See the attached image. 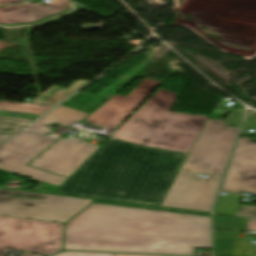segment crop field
<instances>
[{
	"label": "crop field",
	"mask_w": 256,
	"mask_h": 256,
	"mask_svg": "<svg viewBox=\"0 0 256 256\" xmlns=\"http://www.w3.org/2000/svg\"><path fill=\"white\" fill-rule=\"evenodd\" d=\"M239 138L224 184L256 189V143Z\"/></svg>",
	"instance_id": "11"
},
{
	"label": "crop field",
	"mask_w": 256,
	"mask_h": 256,
	"mask_svg": "<svg viewBox=\"0 0 256 256\" xmlns=\"http://www.w3.org/2000/svg\"><path fill=\"white\" fill-rule=\"evenodd\" d=\"M98 145L79 140H59L31 166L70 177V175L98 148ZM55 153L53 156L51 153Z\"/></svg>",
	"instance_id": "8"
},
{
	"label": "crop field",
	"mask_w": 256,
	"mask_h": 256,
	"mask_svg": "<svg viewBox=\"0 0 256 256\" xmlns=\"http://www.w3.org/2000/svg\"><path fill=\"white\" fill-rule=\"evenodd\" d=\"M155 158H156V156H154V155H147V154L141 153L136 165L143 166L146 159L154 161Z\"/></svg>",
	"instance_id": "23"
},
{
	"label": "crop field",
	"mask_w": 256,
	"mask_h": 256,
	"mask_svg": "<svg viewBox=\"0 0 256 256\" xmlns=\"http://www.w3.org/2000/svg\"><path fill=\"white\" fill-rule=\"evenodd\" d=\"M224 121L209 119L181 170L223 176L238 128L223 126Z\"/></svg>",
	"instance_id": "4"
},
{
	"label": "crop field",
	"mask_w": 256,
	"mask_h": 256,
	"mask_svg": "<svg viewBox=\"0 0 256 256\" xmlns=\"http://www.w3.org/2000/svg\"><path fill=\"white\" fill-rule=\"evenodd\" d=\"M176 95L159 88L112 137L189 152L207 117L168 112Z\"/></svg>",
	"instance_id": "3"
},
{
	"label": "crop field",
	"mask_w": 256,
	"mask_h": 256,
	"mask_svg": "<svg viewBox=\"0 0 256 256\" xmlns=\"http://www.w3.org/2000/svg\"><path fill=\"white\" fill-rule=\"evenodd\" d=\"M63 224L0 216V247L51 255L61 250Z\"/></svg>",
	"instance_id": "5"
},
{
	"label": "crop field",
	"mask_w": 256,
	"mask_h": 256,
	"mask_svg": "<svg viewBox=\"0 0 256 256\" xmlns=\"http://www.w3.org/2000/svg\"><path fill=\"white\" fill-rule=\"evenodd\" d=\"M68 256H114V255H104V254H83V253H69L65 252Z\"/></svg>",
	"instance_id": "25"
},
{
	"label": "crop field",
	"mask_w": 256,
	"mask_h": 256,
	"mask_svg": "<svg viewBox=\"0 0 256 256\" xmlns=\"http://www.w3.org/2000/svg\"><path fill=\"white\" fill-rule=\"evenodd\" d=\"M210 217L92 203L66 223L63 250L194 256Z\"/></svg>",
	"instance_id": "1"
},
{
	"label": "crop field",
	"mask_w": 256,
	"mask_h": 256,
	"mask_svg": "<svg viewBox=\"0 0 256 256\" xmlns=\"http://www.w3.org/2000/svg\"><path fill=\"white\" fill-rule=\"evenodd\" d=\"M50 5H54V4H62V3H72L68 0H52L48 2Z\"/></svg>",
	"instance_id": "26"
},
{
	"label": "crop field",
	"mask_w": 256,
	"mask_h": 256,
	"mask_svg": "<svg viewBox=\"0 0 256 256\" xmlns=\"http://www.w3.org/2000/svg\"><path fill=\"white\" fill-rule=\"evenodd\" d=\"M45 208L79 212V211L82 210L84 207H82V206H74V205H66V204H58V203H50V202H47Z\"/></svg>",
	"instance_id": "22"
},
{
	"label": "crop field",
	"mask_w": 256,
	"mask_h": 256,
	"mask_svg": "<svg viewBox=\"0 0 256 256\" xmlns=\"http://www.w3.org/2000/svg\"><path fill=\"white\" fill-rule=\"evenodd\" d=\"M220 179L178 172L162 206L210 212Z\"/></svg>",
	"instance_id": "7"
},
{
	"label": "crop field",
	"mask_w": 256,
	"mask_h": 256,
	"mask_svg": "<svg viewBox=\"0 0 256 256\" xmlns=\"http://www.w3.org/2000/svg\"><path fill=\"white\" fill-rule=\"evenodd\" d=\"M137 152L158 156L144 167L132 166ZM183 157L109 138L57 193L159 206Z\"/></svg>",
	"instance_id": "2"
},
{
	"label": "crop field",
	"mask_w": 256,
	"mask_h": 256,
	"mask_svg": "<svg viewBox=\"0 0 256 256\" xmlns=\"http://www.w3.org/2000/svg\"><path fill=\"white\" fill-rule=\"evenodd\" d=\"M159 84L144 78L127 97L115 95L85 120L115 129Z\"/></svg>",
	"instance_id": "9"
},
{
	"label": "crop field",
	"mask_w": 256,
	"mask_h": 256,
	"mask_svg": "<svg viewBox=\"0 0 256 256\" xmlns=\"http://www.w3.org/2000/svg\"><path fill=\"white\" fill-rule=\"evenodd\" d=\"M242 229L256 230V220L214 218V230L238 231Z\"/></svg>",
	"instance_id": "16"
},
{
	"label": "crop field",
	"mask_w": 256,
	"mask_h": 256,
	"mask_svg": "<svg viewBox=\"0 0 256 256\" xmlns=\"http://www.w3.org/2000/svg\"><path fill=\"white\" fill-rule=\"evenodd\" d=\"M31 120L0 116V134H13Z\"/></svg>",
	"instance_id": "19"
},
{
	"label": "crop field",
	"mask_w": 256,
	"mask_h": 256,
	"mask_svg": "<svg viewBox=\"0 0 256 256\" xmlns=\"http://www.w3.org/2000/svg\"><path fill=\"white\" fill-rule=\"evenodd\" d=\"M9 136H3V135H0V142L3 141L4 139L8 138Z\"/></svg>",
	"instance_id": "30"
},
{
	"label": "crop field",
	"mask_w": 256,
	"mask_h": 256,
	"mask_svg": "<svg viewBox=\"0 0 256 256\" xmlns=\"http://www.w3.org/2000/svg\"><path fill=\"white\" fill-rule=\"evenodd\" d=\"M115 256H128V255H115Z\"/></svg>",
	"instance_id": "32"
},
{
	"label": "crop field",
	"mask_w": 256,
	"mask_h": 256,
	"mask_svg": "<svg viewBox=\"0 0 256 256\" xmlns=\"http://www.w3.org/2000/svg\"><path fill=\"white\" fill-rule=\"evenodd\" d=\"M46 202L0 197V215L65 223L74 212L44 209Z\"/></svg>",
	"instance_id": "12"
},
{
	"label": "crop field",
	"mask_w": 256,
	"mask_h": 256,
	"mask_svg": "<svg viewBox=\"0 0 256 256\" xmlns=\"http://www.w3.org/2000/svg\"><path fill=\"white\" fill-rule=\"evenodd\" d=\"M56 139L23 131L0 147V169L59 186L66 178L26 166Z\"/></svg>",
	"instance_id": "6"
},
{
	"label": "crop field",
	"mask_w": 256,
	"mask_h": 256,
	"mask_svg": "<svg viewBox=\"0 0 256 256\" xmlns=\"http://www.w3.org/2000/svg\"><path fill=\"white\" fill-rule=\"evenodd\" d=\"M139 155H140V153H137V155H136L135 159H134V160H133V162H132V164H133V165H135V163H136V161H137V159H138Z\"/></svg>",
	"instance_id": "28"
},
{
	"label": "crop field",
	"mask_w": 256,
	"mask_h": 256,
	"mask_svg": "<svg viewBox=\"0 0 256 256\" xmlns=\"http://www.w3.org/2000/svg\"><path fill=\"white\" fill-rule=\"evenodd\" d=\"M50 106L34 105V104H22L14 102L0 101V110L22 112L29 114L41 115L48 111Z\"/></svg>",
	"instance_id": "17"
},
{
	"label": "crop field",
	"mask_w": 256,
	"mask_h": 256,
	"mask_svg": "<svg viewBox=\"0 0 256 256\" xmlns=\"http://www.w3.org/2000/svg\"><path fill=\"white\" fill-rule=\"evenodd\" d=\"M88 82V80L78 79L67 88L53 85L46 91L41 93L39 96H37L35 99H33L31 102L46 105H55Z\"/></svg>",
	"instance_id": "15"
},
{
	"label": "crop field",
	"mask_w": 256,
	"mask_h": 256,
	"mask_svg": "<svg viewBox=\"0 0 256 256\" xmlns=\"http://www.w3.org/2000/svg\"><path fill=\"white\" fill-rule=\"evenodd\" d=\"M215 256H256V247L235 233L214 232Z\"/></svg>",
	"instance_id": "13"
},
{
	"label": "crop field",
	"mask_w": 256,
	"mask_h": 256,
	"mask_svg": "<svg viewBox=\"0 0 256 256\" xmlns=\"http://www.w3.org/2000/svg\"><path fill=\"white\" fill-rule=\"evenodd\" d=\"M53 111V110H52ZM88 113L80 112L77 110H73L66 107H58L53 112L30 126L28 129L43 133V134H49L52 131L49 130L46 125L48 123H60L64 126H68L72 124L73 122L80 121L83 119Z\"/></svg>",
	"instance_id": "14"
},
{
	"label": "crop field",
	"mask_w": 256,
	"mask_h": 256,
	"mask_svg": "<svg viewBox=\"0 0 256 256\" xmlns=\"http://www.w3.org/2000/svg\"><path fill=\"white\" fill-rule=\"evenodd\" d=\"M0 196H8V197H17V198H25V199H34V200L46 201L48 195L18 192V191H9V190H0Z\"/></svg>",
	"instance_id": "20"
},
{
	"label": "crop field",
	"mask_w": 256,
	"mask_h": 256,
	"mask_svg": "<svg viewBox=\"0 0 256 256\" xmlns=\"http://www.w3.org/2000/svg\"><path fill=\"white\" fill-rule=\"evenodd\" d=\"M19 0H0V6ZM83 9L76 4L38 6L27 8L23 4L0 9V28L33 27Z\"/></svg>",
	"instance_id": "10"
},
{
	"label": "crop field",
	"mask_w": 256,
	"mask_h": 256,
	"mask_svg": "<svg viewBox=\"0 0 256 256\" xmlns=\"http://www.w3.org/2000/svg\"><path fill=\"white\" fill-rule=\"evenodd\" d=\"M51 202H59V203H67V204H75V205H83L87 206L89 205L92 201L89 200H82V199H74V198H67V197H60V196H48V200Z\"/></svg>",
	"instance_id": "21"
},
{
	"label": "crop field",
	"mask_w": 256,
	"mask_h": 256,
	"mask_svg": "<svg viewBox=\"0 0 256 256\" xmlns=\"http://www.w3.org/2000/svg\"><path fill=\"white\" fill-rule=\"evenodd\" d=\"M240 195H220L213 213L235 215Z\"/></svg>",
	"instance_id": "18"
},
{
	"label": "crop field",
	"mask_w": 256,
	"mask_h": 256,
	"mask_svg": "<svg viewBox=\"0 0 256 256\" xmlns=\"http://www.w3.org/2000/svg\"><path fill=\"white\" fill-rule=\"evenodd\" d=\"M221 190H223V191H229V192H240V191H242V190H245V191H249V192L256 193V190L241 189V188L226 187V186H223Z\"/></svg>",
	"instance_id": "24"
},
{
	"label": "crop field",
	"mask_w": 256,
	"mask_h": 256,
	"mask_svg": "<svg viewBox=\"0 0 256 256\" xmlns=\"http://www.w3.org/2000/svg\"><path fill=\"white\" fill-rule=\"evenodd\" d=\"M24 5H26L27 7H31V6H38V5H41V4H29V3H25Z\"/></svg>",
	"instance_id": "29"
},
{
	"label": "crop field",
	"mask_w": 256,
	"mask_h": 256,
	"mask_svg": "<svg viewBox=\"0 0 256 256\" xmlns=\"http://www.w3.org/2000/svg\"><path fill=\"white\" fill-rule=\"evenodd\" d=\"M56 256H67V255H65L64 253H60V254H58Z\"/></svg>",
	"instance_id": "31"
},
{
	"label": "crop field",
	"mask_w": 256,
	"mask_h": 256,
	"mask_svg": "<svg viewBox=\"0 0 256 256\" xmlns=\"http://www.w3.org/2000/svg\"><path fill=\"white\" fill-rule=\"evenodd\" d=\"M2 250H3V249L0 248V256H3ZM22 256H39V255L24 254V255H22Z\"/></svg>",
	"instance_id": "27"
}]
</instances>
